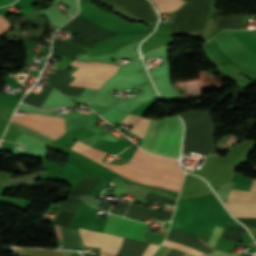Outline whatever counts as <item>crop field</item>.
Instances as JSON below:
<instances>
[{
  "mask_svg": "<svg viewBox=\"0 0 256 256\" xmlns=\"http://www.w3.org/2000/svg\"><path fill=\"white\" fill-rule=\"evenodd\" d=\"M71 149L122 175L142 184L179 192L183 171L179 169L177 160L153 155L138 147L131 160L117 166L101 162L105 152L77 142Z\"/></svg>",
  "mask_w": 256,
  "mask_h": 256,
  "instance_id": "1",
  "label": "crop field"
},
{
  "mask_svg": "<svg viewBox=\"0 0 256 256\" xmlns=\"http://www.w3.org/2000/svg\"><path fill=\"white\" fill-rule=\"evenodd\" d=\"M183 125L176 114L153 118L141 144L145 150L156 154L178 158Z\"/></svg>",
  "mask_w": 256,
  "mask_h": 256,
  "instance_id": "2",
  "label": "crop field"
},
{
  "mask_svg": "<svg viewBox=\"0 0 256 256\" xmlns=\"http://www.w3.org/2000/svg\"><path fill=\"white\" fill-rule=\"evenodd\" d=\"M186 129L184 152H216L215 125L210 110H194L180 113Z\"/></svg>",
  "mask_w": 256,
  "mask_h": 256,
  "instance_id": "3",
  "label": "crop field"
},
{
  "mask_svg": "<svg viewBox=\"0 0 256 256\" xmlns=\"http://www.w3.org/2000/svg\"><path fill=\"white\" fill-rule=\"evenodd\" d=\"M214 39L232 61L256 70V30L222 31Z\"/></svg>",
  "mask_w": 256,
  "mask_h": 256,
  "instance_id": "4",
  "label": "crop field"
},
{
  "mask_svg": "<svg viewBox=\"0 0 256 256\" xmlns=\"http://www.w3.org/2000/svg\"><path fill=\"white\" fill-rule=\"evenodd\" d=\"M214 0H192L171 14L175 19L169 32L202 33L208 20V13Z\"/></svg>",
  "mask_w": 256,
  "mask_h": 256,
  "instance_id": "5",
  "label": "crop field"
},
{
  "mask_svg": "<svg viewBox=\"0 0 256 256\" xmlns=\"http://www.w3.org/2000/svg\"><path fill=\"white\" fill-rule=\"evenodd\" d=\"M71 65L80 68L71 74L76 79L70 85L90 88H99L107 78L115 74L118 68L104 63H80L76 61Z\"/></svg>",
  "mask_w": 256,
  "mask_h": 256,
  "instance_id": "6",
  "label": "crop field"
},
{
  "mask_svg": "<svg viewBox=\"0 0 256 256\" xmlns=\"http://www.w3.org/2000/svg\"><path fill=\"white\" fill-rule=\"evenodd\" d=\"M13 121L19 122L53 139H56L65 133L64 118L61 117L24 114L15 115Z\"/></svg>",
  "mask_w": 256,
  "mask_h": 256,
  "instance_id": "7",
  "label": "crop field"
},
{
  "mask_svg": "<svg viewBox=\"0 0 256 256\" xmlns=\"http://www.w3.org/2000/svg\"><path fill=\"white\" fill-rule=\"evenodd\" d=\"M146 231L145 223L110 215L104 232L143 241Z\"/></svg>",
  "mask_w": 256,
  "mask_h": 256,
  "instance_id": "8",
  "label": "crop field"
},
{
  "mask_svg": "<svg viewBox=\"0 0 256 256\" xmlns=\"http://www.w3.org/2000/svg\"><path fill=\"white\" fill-rule=\"evenodd\" d=\"M80 234L85 245L101 248L102 251L117 254L122 243V237L80 228Z\"/></svg>",
  "mask_w": 256,
  "mask_h": 256,
  "instance_id": "9",
  "label": "crop field"
},
{
  "mask_svg": "<svg viewBox=\"0 0 256 256\" xmlns=\"http://www.w3.org/2000/svg\"><path fill=\"white\" fill-rule=\"evenodd\" d=\"M115 7L137 16L141 19H147L154 23L157 14L154 12L148 0H106ZM124 12V13H125Z\"/></svg>",
  "mask_w": 256,
  "mask_h": 256,
  "instance_id": "10",
  "label": "crop field"
},
{
  "mask_svg": "<svg viewBox=\"0 0 256 256\" xmlns=\"http://www.w3.org/2000/svg\"><path fill=\"white\" fill-rule=\"evenodd\" d=\"M193 236H194V235H193ZM193 236H191V235H189V234H187V233H185V232H183V231H181V230H176V231H170V232H169V235H168V237H167V239L173 240V241H175V242H178V243H181V244H184V245L191 246V247H193V248H195V249H198V250H200V251H203V252H205V253H208V252H212V251H213L212 249L208 248V247L205 246L203 243H201V242L198 240L197 237H193ZM167 239L165 240L166 242L173 243V244H176V245H179V246H182V247L191 249V250H193V251H195V252H197V253H199V254H201V255L205 254V253L200 252V251H198V250H195V249H193V248H191V247L184 246V245L175 243V242L170 241V240H167ZM166 242H164L163 245H165V246H170V247H175V248H177V249H180V250H182V251H184V252H187V253H190V254H192V255L200 256V255H198V254H196V253H194V252H192V251H190V250H188V249H185V248H182V247L173 245V244H169V243H166Z\"/></svg>",
  "mask_w": 256,
  "mask_h": 256,
  "instance_id": "11",
  "label": "crop field"
},
{
  "mask_svg": "<svg viewBox=\"0 0 256 256\" xmlns=\"http://www.w3.org/2000/svg\"><path fill=\"white\" fill-rule=\"evenodd\" d=\"M234 217L256 218V204L224 203Z\"/></svg>",
  "mask_w": 256,
  "mask_h": 256,
  "instance_id": "12",
  "label": "crop field"
},
{
  "mask_svg": "<svg viewBox=\"0 0 256 256\" xmlns=\"http://www.w3.org/2000/svg\"><path fill=\"white\" fill-rule=\"evenodd\" d=\"M228 202L256 203V192L232 189Z\"/></svg>",
  "mask_w": 256,
  "mask_h": 256,
  "instance_id": "13",
  "label": "crop field"
},
{
  "mask_svg": "<svg viewBox=\"0 0 256 256\" xmlns=\"http://www.w3.org/2000/svg\"><path fill=\"white\" fill-rule=\"evenodd\" d=\"M159 12L176 11L183 3L182 0H152Z\"/></svg>",
  "mask_w": 256,
  "mask_h": 256,
  "instance_id": "14",
  "label": "crop field"
},
{
  "mask_svg": "<svg viewBox=\"0 0 256 256\" xmlns=\"http://www.w3.org/2000/svg\"><path fill=\"white\" fill-rule=\"evenodd\" d=\"M82 202V200H79L77 198L67 197L66 201L60 204L59 209L67 212L77 213Z\"/></svg>",
  "mask_w": 256,
  "mask_h": 256,
  "instance_id": "15",
  "label": "crop field"
},
{
  "mask_svg": "<svg viewBox=\"0 0 256 256\" xmlns=\"http://www.w3.org/2000/svg\"><path fill=\"white\" fill-rule=\"evenodd\" d=\"M150 121H151V119L142 118L137 123V125H136V127H135V129H134L132 134H134V135H136V136H138V137L143 139ZM133 128L131 130H129V132H132Z\"/></svg>",
  "mask_w": 256,
  "mask_h": 256,
  "instance_id": "16",
  "label": "crop field"
},
{
  "mask_svg": "<svg viewBox=\"0 0 256 256\" xmlns=\"http://www.w3.org/2000/svg\"><path fill=\"white\" fill-rule=\"evenodd\" d=\"M223 230H224V228H222L218 225H215V228L213 230V233H212L207 245L211 246L212 248H215L218 238L221 236Z\"/></svg>",
  "mask_w": 256,
  "mask_h": 256,
  "instance_id": "17",
  "label": "crop field"
},
{
  "mask_svg": "<svg viewBox=\"0 0 256 256\" xmlns=\"http://www.w3.org/2000/svg\"><path fill=\"white\" fill-rule=\"evenodd\" d=\"M11 25V23L0 15V36L4 35L9 30Z\"/></svg>",
  "mask_w": 256,
  "mask_h": 256,
  "instance_id": "18",
  "label": "crop field"
},
{
  "mask_svg": "<svg viewBox=\"0 0 256 256\" xmlns=\"http://www.w3.org/2000/svg\"><path fill=\"white\" fill-rule=\"evenodd\" d=\"M237 219L243 222L248 228H256V219H248V218H237Z\"/></svg>",
  "mask_w": 256,
  "mask_h": 256,
  "instance_id": "19",
  "label": "crop field"
},
{
  "mask_svg": "<svg viewBox=\"0 0 256 256\" xmlns=\"http://www.w3.org/2000/svg\"><path fill=\"white\" fill-rule=\"evenodd\" d=\"M204 256H237V255H234V254H231V253H227V252H223V251H215V252H212V253H209V254H206Z\"/></svg>",
  "mask_w": 256,
  "mask_h": 256,
  "instance_id": "20",
  "label": "crop field"
},
{
  "mask_svg": "<svg viewBox=\"0 0 256 256\" xmlns=\"http://www.w3.org/2000/svg\"><path fill=\"white\" fill-rule=\"evenodd\" d=\"M158 245L149 244L145 253L142 256H150L156 249Z\"/></svg>",
  "mask_w": 256,
  "mask_h": 256,
  "instance_id": "21",
  "label": "crop field"
},
{
  "mask_svg": "<svg viewBox=\"0 0 256 256\" xmlns=\"http://www.w3.org/2000/svg\"><path fill=\"white\" fill-rule=\"evenodd\" d=\"M170 251H171V248L166 247V249L164 250V252L160 256H167Z\"/></svg>",
  "mask_w": 256,
  "mask_h": 256,
  "instance_id": "22",
  "label": "crop field"
},
{
  "mask_svg": "<svg viewBox=\"0 0 256 256\" xmlns=\"http://www.w3.org/2000/svg\"><path fill=\"white\" fill-rule=\"evenodd\" d=\"M249 190H253V191H256V180L253 181L251 187Z\"/></svg>",
  "mask_w": 256,
  "mask_h": 256,
  "instance_id": "23",
  "label": "crop field"
},
{
  "mask_svg": "<svg viewBox=\"0 0 256 256\" xmlns=\"http://www.w3.org/2000/svg\"><path fill=\"white\" fill-rule=\"evenodd\" d=\"M184 256H191V255H189V254L185 253V254H184Z\"/></svg>",
  "mask_w": 256,
  "mask_h": 256,
  "instance_id": "24",
  "label": "crop field"
},
{
  "mask_svg": "<svg viewBox=\"0 0 256 256\" xmlns=\"http://www.w3.org/2000/svg\"><path fill=\"white\" fill-rule=\"evenodd\" d=\"M253 256H256V254H255V255H253Z\"/></svg>",
  "mask_w": 256,
  "mask_h": 256,
  "instance_id": "25",
  "label": "crop field"
}]
</instances>
